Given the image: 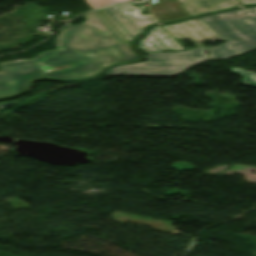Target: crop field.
Here are the masks:
<instances>
[{"mask_svg": "<svg viewBox=\"0 0 256 256\" xmlns=\"http://www.w3.org/2000/svg\"><path fill=\"white\" fill-rule=\"evenodd\" d=\"M82 17V24H68L60 30L54 39L55 50L41 52L32 59L0 63V98L23 91L34 78L89 77L107 65L139 59L99 10Z\"/></svg>", "mask_w": 256, "mask_h": 256, "instance_id": "crop-field-1", "label": "crop field"}, {"mask_svg": "<svg viewBox=\"0 0 256 256\" xmlns=\"http://www.w3.org/2000/svg\"><path fill=\"white\" fill-rule=\"evenodd\" d=\"M200 19L226 41L209 48L212 60L230 58L256 49V7L222 12Z\"/></svg>", "mask_w": 256, "mask_h": 256, "instance_id": "crop-field-2", "label": "crop field"}, {"mask_svg": "<svg viewBox=\"0 0 256 256\" xmlns=\"http://www.w3.org/2000/svg\"><path fill=\"white\" fill-rule=\"evenodd\" d=\"M204 47L180 53L145 54L146 60L107 69L103 75H175L209 59Z\"/></svg>", "mask_w": 256, "mask_h": 256, "instance_id": "crop-field-3", "label": "crop field"}, {"mask_svg": "<svg viewBox=\"0 0 256 256\" xmlns=\"http://www.w3.org/2000/svg\"><path fill=\"white\" fill-rule=\"evenodd\" d=\"M143 6H133L132 4H117L101 9L111 23L132 42L134 38L142 32L150 23L157 22L152 15H141Z\"/></svg>", "mask_w": 256, "mask_h": 256, "instance_id": "crop-field-4", "label": "crop field"}, {"mask_svg": "<svg viewBox=\"0 0 256 256\" xmlns=\"http://www.w3.org/2000/svg\"><path fill=\"white\" fill-rule=\"evenodd\" d=\"M175 38H183L191 40L198 46L201 41L210 40L216 41L222 39L217 35L212 29H210L205 23H203L199 18L165 25L164 26Z\"/></svg>", "mask_w": 256, "mask_h": 256, "instance_id": "crop-field-5", "label": "crop field"}, {"mask_svg": "<svg viewBox=\"0 0 256 256\" xmlns=\"http://www.w3.org/2000/svg\"><path fill=\"white\" fill-rule=\"evenodd\" d=\"M138 47L144 52H161L162 49L183 50L182 46L160 27L150 30Z\"/></svg>", "mask_w": 256, "mask_h": 256, "instance_id": "crop-field-6", "label": "crop field"}, {"mask_svg": "<svg viewBox=\"0 0 256 256\" xmlns=\"http://www.w3.org/2000/svg\"><path fill=\"white\" fill-rule=\"evenodd\" d=\"M190 16L238 6L236 0H179Z\"/></svg>", "mask_w": 256, "mask_h": 256, "instance_id": "crop-field-7", "label": "crop field"}, {"mask_svg": "<svg viewBox=\"0 0 256 256\" xmlns=\"http://www.w3.org/2000/svg\"><path fill=\"white\" fill-rule=\"evenodd\" d=\"M159 22L188 17L189 14L178 2V0L161 1L150 8Z\"/></svg>", "mask_w": 256, "mask_h": 256, "instance_id": "crop-field-8", "label": "crop field"}, {"mask_svg": "<svg viewBox=\"0 0 256 256\" xmlns=\"http://www.w3.org/2000/svg\"><path fill=\"white\" fill-rule=\"evenodd\" d=\"M230 70L239 75H243V81L245 84L256 87V73L246 71L240 68H230Z\"/></svg>", "mask_w": 256, "mask_h": 256, "instance_id": "crop-field-9", "label": "crop field"}, {"mask_svg": "<svg viewBox=\"0 0 256 256\" xmlns=\"http://www.w3.org/2000/svg\"><path fill=\"white\" fill-rule=\"evenodd\" d=\"M92 9L106 6L117 1H129V0H86ZM136 1V0H135ZM86 2V3H87Z\"/></svg>", "mask_w": 256, "mask_h": 256, "instance_id": "crop-field-10", "label": "crop field"}, {"mask_svg": "<svg viewBox=\"0 0 256 256\" xmlns=\"http://www.w3.org/2000/svg\"><path fill=\"white\" fill-rule=\"evenodd\" d=\"M241 5L243 4H256V0H239Z\"/></svg>", "mask_w": 256, "mask_h": 256, "instance_id": "crop-field-11", "label": "crop field"}]
</instances>
